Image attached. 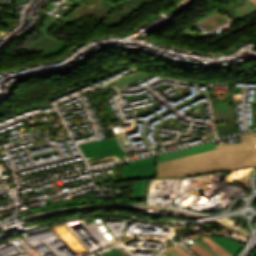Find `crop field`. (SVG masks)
Here are the masks:
<instances>
[{"instance_id": "obj_1", "label": "crop field", "mask_w": 256, "mask_h": 256, "mask_svg": "<svg viewBox=\"0 0 256 256\" xmlns=\"http://www.w3.org/2000/svg\"><path fill=\"white\" fill-rule=\"evenodd\" d=\"M241 143L217 146L215 142L157 156V177L199 175L253 167L256 136H240Z\"/></svg>"}, {"instance_id": "obj_2", "label": "crop field", "mask_w": 256, "mask_h": 256, "mask_svg": "<svg viewBox=\"0 0 256 256\" xmlns=\"http://www.w3.org/2000/svg\"><path fill=\"white\" fill-rule=\"evenodd\" d=\"M79 146L81 147L84 155H89L92 159L102 155L121 157L122 160L130 158V156L127 155V152L119 146L116 137L89 142Z\"/></svg>"}, {"instance_id": "obj_3", "label": "crop field", "mask_w": 256, "mask_h": 256, "mask_svg": "<svg viewBox=\"0 0 256 256\" xmlns=\"http://www.w3.org/2000/svg\"><path fill=\"white\" fill-rule=\"evenodd\" d=\"M124 180L156 177V156L133 161L121 169Z\"/></svg>"}, {"instance_id": "obj_4", "label": "crop field", "mask_w": 256, "mask_h": 256, "mask_svg": "<svg viewBox=\"0 0 256 256\" xmlns=\"http://www.w3.org/2000/svg\"><path fill=\"white\" fill-rule=\"evenodd\" d=\"M57 19H58V17L50 16L48 18L46 24L44 25L43 29L40 32V33L44 34L45 36L42 37L41 39L33 42L32 44H30L28 47H26L23 50L32 54V53L41 52L43 50L49 49V48L57 45L58 43H60L59 42L60 40L57 41V40L53 39L52 37L45 34L47 32V30L52 26V24Z\"/></svg>"}, {"instance_id": "obj_5", "label": "crop field", "mask_w": 256, "mask_h": 256, "mask_svg": "<svg viewBox=\"0 0 256 256\" xmlns=\"http://www.w3.org/2000/svg\"><path fill=\"white\" fill-rule=\"evenodd\" d=\"M148 183H149V179L135 181L134 187H133L132 198L145 200Z\"/></svg>"}, {"instance_id": "obj_6", "label": "crop field", "mask_w": 256, "mask_h": 256, "mask_svg": "<svg viewBox=\"0 0 256 256\" xmlns=\"http://www.w3.org/2000/svg\"><path fill=\"white\" fill-rule=\"evenodd\" d=\"M210 246L211 248L216 251L221 256H232L227 251H225L223 248H221L218 244H216L214 241H212L210 238H203Z\"/></svg>"}, {"instance_id": "obj_7", "label": "crop field", "mask_w": 256, "mask_h": 256, "mask_svg": "<svg viewBox=\"0 0 256 256\" xmlns=\"http://www.w3.org/2000/svg\"><path fill=\"white\" fill-rule=\"evenodd\" d=\"M188 247H190L192 250H194L199 256H211L206 251H204L202 248H200L196 243H194Z\"/></svg>"}, {"instance_id": "obj_8", "label": "crop field", "mask_w": 256, "mask_h": 256, "mask_svg": "<svg viewBox=\"0 0 256 256\" xmlns=\"http://www.w3.org/2000/svg\"><path fill=\"white\" fill-rule=\"evenodd\" d=\"M194 240L200 247H202L204 250H206L208 253H210L212 256H219L216 252H214L211 248L207 247L205 244H203L201 241H199L197 238L192 239Z\"/></svg>"}, {"instance_id": "obj_9", "label": "crop field", "mask_w": 256, "mask_h": 256, "mask_svg": "<svg viewBox=\"0 0 256 256\" xmlns=\"http://www.w3.org/2000/svg\"><path fill=\"white\" fill-rule=\"evenodd\" d=\"M176 250H178L183 256H194L190 255L188 252H186L184 249H182L180 246L175 245L173 246Z\"/></svg>"}, {"instance_id": "obj_10", "label": "crop field", "mask_w": 256, "mask_h": 256, "mask_svg": "<svg viewBox=\"0 0 256 256\" xmlns=\"http://www.w3.org/2000/svg\"><path fill=\"white\" fill-rule=\"evenodd\" d=\"M171 256H182L178 251H176L173 247L166 251Z\"/></svg>"}, {"instance_id": "obj_11", "label": "crop field", "mask_w": 256, "mask_h": 256, "mask_svg": "<svg viewBox=\"0 0 256 256\" xmlns=\"http://www.w3.org/2000/svg\"><path fill=\"white\" fill-rule=\"evenodd\" d=\"M113 251H110V253L113 255V256H121L116 250L112 249Z\"/></svg>"}, {"instance_id": "obj_12", "label": "crop field", "mask_w": 256, "mask_h": 256, "mask_svg": "<svg viewBox=\"0 0 256 256\" xmlns=\"http://www.w3.org/2000/svg\"><path fill=\"white\" fill-rule=\"evenodd\" d=\"M167 256H170L169 254H167L166 252H164Z\"/></svg>"}, {"instance_id": "obj_13", "label": "crop field", "mask_w": 256, "mask_h": 256, "mask_svg": "<svg viewBox=\"0 0 256 256\" xmlns=\"http://www.w3.org/2000/svg\"><path fill=\"white\" fill-rule=\"evenodd\" d=\"M160 256H166L165 254H162V255H160Z\"/></svg>"}, {"instance_id": "obj_14", "label": "crop field", "mask_w": 256, "mask_h": 256, "mask_svg": "<svg viewBox=\"0 0 256 256\" xmlns=\"http://www.w3.org/2000/svg\"><path fill=\"white\" fill-rule=\"evenodd\" d=\"M254 2H256V0H253Z\"/></svg>"}]
</instances>
